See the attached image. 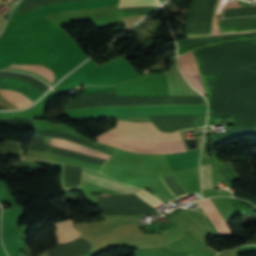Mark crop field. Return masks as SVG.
Instances as JSON below:
<instances>
[{
  "label": "crop field",
  "mask_w": 256,
  "mask_h": 256,
  "mask_svg": "<svg viewBox=\"0 0 256 256\" xmlns=\"http://www.w3.org/2000/svg\"><path fill=\"white\" fill-rule=\"evenodd\" d=\"M57 228L55 235L58 239V244L66 241L77 239L80 233L73 228L72 221H66L54 224Z\"/></svg>",
  "instance_id": "5a996713"
},
{
  "label": "crop field",
  "mask_w": 256,
  "mask_h": 256,
  "mask_svg": "<svg viewBox=\"0 0 256 256\" xmlns=\"http://www.w3.org/2000/svg\"><path fill=\"white\" fill-rule=\"evenodd\" d=\"M209 101L210 121L231 117L234 130L212 135L214 145L256 133V39L226 42L192 51Z\"/></svg>",
  "instance_id": "8a807250"
},
{
  "label": "crop field",
  "mask_w": 256,
  "mask_h": 256,
  "mask_svg": "<svg viewBox=\"0 0 256 256\" xmlns=\"http://www.w3.org/2000/svg\"><path fill=\"white\" fill-rule=\"evenodd\" d=\"M0 94L17 107H24L33 102L28 100L23 95L16 93L14 91L0 90Z\"/></svg>",
  "instance_id": "28ad6ade"
},
{
  "label": "crop field",
  "mask_w": 256,
  "mask_h": 256,
  "mask_svg": "<svg viewBox=\"0 0 256 256\" xmlns=\"http://www.w3.org/2000/svg\"><path fill=\"white\" fill-rule=\"evenodd\" d=\"M181 73L201 94L206 96L192 52L178 57Z\"/></svg>",
  "instance_id": "34b2d1b8"
},
{
  "label": "crop field",
  "mask_w": 256,
  "mask_h": 256,
  "mask_svg": "<svg viewBox=\"0 0 256 256\" xmlns=\"http://www.w3.org/2000/svg\"><path fill=\"white\" fill-rule=\"evenodd\" d=\"M160 204H161V203H160ZM160 204L156 205L155 207L159 206ZM155 207H154V208H155Z\"/></svg>",
  "instance_id": "4a817a6b"
},
{
  "label": "crop field",
  "mask_w": 256,
  "mask_h": 256,
  "mask_svg": "<svg viewBox=\"0 0 256 256\" xmlns=\"http://www.w3.org/2000/svg\"><path fill=\"white\" fill-rule=\"evenodd\" d=\"M232 200H233L236 215L251 213L256 211V208L253 205L243 200L234 199V198H232Z\"/></svg>",
  "instance_id": "22f410ed"
},
{
  "label": "crop field",
  "mask_w": 256,
  "mask_h": 256,
  "mask_svg": "<svg viewBox=\"0 0 256 256\" xmlns=\"http://www.w3.org/2000/svg\"><path fill=\"white\" fill-rule=\"evenodd\" d=\"M198 203L201 205L205 213L208 215L217 230L220 232V234L232 235L228 225L225 223L210 198L206 200H200L198 201Z\"/></svg>",
  "instance_id": "f4fd0767"
},
{
  "label": "crop field",
  "mask_w": 256,
  "mask_h": 256,
  "mask_svg": "<svg viewBox=\"0 0 256 256\" xmlns=\"http://www.w3.org/2000/svg\"><path fill=\"white\" fill-rule=\"evenodd\" d=\"M99 196H108V195L101 194V195H99Z\"/></svg>",
  "instance_id": "d9b57169"
},
{
  "label": "crop field",
  "mask_w": 256,
  "mask_h": 256,
  "mask_svg": "<svg viewBox=\"0 0 256 256\" xmlns=\"http://www.w3.org/2000/svg\"><path fill=\"white\" fill-rule=\"evenodd\" d=\"M202 189L213 188L211 164L201 167Z\"/></svg>",
  "instance_id": "cbeb9de0"
},
{
  "label": "crop field",
  "mask_w": 256,
  "mask_h": 256,
  "mask_svg": "<svg viewBox=\"0 0 256 256\" xmlns=\"http://www.w3.org/2000/svg\"><path fill=\"white\" fill-rule=\"evenodd\" d=\"M83 180L93 183V184H97V185L109 188V189H112V190L120 192L122 194L135 193V192L139 191V189L125 186V185L119 184L117 182H114L112 180H109L107 178L89 174V173H85V172H83Z\"/></svg>",
  "instance_id": "dd49c442"
},
{
  "label": "crop field",
  "mask_w": 256,
  "mask_h": 256,
  "mask_svg": "<svg viewBox=\"0 0 256 256\" xmlns=\"http://www.w3.org/2000/svg\"><path fill=\"white\" fill-rule=\"evenodd\" d=\"M6 1V3H8L10 0H5Z\"/></svg>",
  "instance_id": "733c2abd"
},
{
  "label": "crop field",
  "mask_w": 256,
  "mask_h": 256,
  "mask_svg": "<svg viewBox=\"0 0 256 256\" xmlns=\"http://www.w3.org/2000/svg\"><path fill=\"white\" fill-rule=\"evenodd\" d=\"M1 70H14V71L28 73V74H31L33 76L40 78L41 80L45 81L49 85H51L52 82L54 81V75H53L52 71L42 65H25V64L15 65V64H12L9 67L1 69Z\"/></svg>",
  "instance_id": "412701ff"
},
{
  "label": "crop field",
  "mask_w": 256,
  "mask_h": 256,
  "mask_svg": "<svg viewBox=\"0 0 256 256\" xmlns=\"http://www.w3.org/2000/svg\"><path fill=\"white\" fill-rule=\"evenodd\" d=\"M112 130L144 139H171L180 137L179 133L178 137L176 132L160 133L150 122L118 121L117 127ZM113 131L106 132L96 139L121 149L139 153L166 154L186 151L181 138L172 140H143Z\"/></svg>",
  "instance_id": "ac0d7876"
},
{
  "label": "crop field",
  "mask_w": 256,
  "mask_h": 256,
  "mask_svg": "<svg viewBox=\"0 0 256 256\" xmlns=\"http://www.w3.org/2000/svg\"><path fill=\"white\" fill-rule=\"evenodd\" d=\"M158 5L156 0H120L118 8L144 7Z\"/></svg>",
  "instance_id": "d1516ede"
},
{
  "label": "crop field",
  "mask_w": 256,
  "mask_h": 256,
  "mask_svg": "<svg viewBox=\"0 0 256 256\" xmlns=\"http://www.w3.org/2000/svg\"><path fill=\"white\" fill-rule=\"evenodd\" d=\"M190 256V255H189Z\"/></svg>",
  "instance_id": "bc2a9ffb"
},
{
  "label": "crop field",
  "mask_w": 256,
  "mask_h": 256,
  "mask_svg": "<svg viewBox=\"0 0 256 256\" xmlns=\"http://www.w3.org/2000/svg\"><path fill=\"white\" fill-rule=\"evenodd\" d=\"M51 146L67 149L70 151L86 154L89 156H93V157H97V158H101V159H105V160H108V158H109V155H106V154L100 153L98 151L74 144V143H72L70 141H66V140H60V139L54 138L51 143Z\"/></svg>",
  "instance_id": "d8731c3e"
},
{
  "label": "crop field",
  "mask_w": 256,
  "mask_h": 256,
  "mask_svg": "<svg viewBox=\"0 0 256 256\" xmlns=\"http://www.w3.org/2000/svg\"><path fill=\"white\" fill-rule=\"evenodd\" d=\"M229 0H218L217 2V7L215 8V10L213 11L212 13V16H211V19H210V26H209V33H210V36H214V35H219V29L217 27V19H218V16L220 14V12L222 11L223 7L228 3ZM237 4V1H234L230 4L227 5L226 8H229V7H237L236 6ZM225 8V9H226ZM240 8H244V7H240ZM229 9H236V8H229ZM228 10V9H226ZM225 13V11H224ZM223 14V13H222ZM223 16L224 14L222 15L221 17V20L223 19ZM254 20V19H253ZM242 21H247V20H242ZM228 22H239V21H228ZM220 23H227V22H220ZM248 32H256V31H248ZM248 32H237V33H226V34H222V35H227V34H239V33H248ZM205 37V36H204ZM195 38V37H194ZM190 39V38H188Z\"/></svg>",
  "instance_id": "e52e79f7"
},
{
  "label": "crop field",
  "mask_w": 256,
  "mask_h": 256,
  "mask_svg": "<svg viewBox=\"0 0 256 256\" xmlns=\"http://www.w3.org/2000/svg\"><path fill=\"white\" fill-rule=\"evenodd\" d=\"M234 196H236V195L234 194ZM236 197H238V196H236ZM238 198H242V199L248 200V201H250V202H252V203H254L256 205V199H249V198H245V197H238Z\"/></svg>",
  "instance_id": "5142ce71"
},
{
  "label": "crop field",
  "mask_w": 256,
  "mask_h": 256,
  "mask_svg": "<svg viewBox=\"0 0 256 256\" xmlns=\"http://www.w3.org/2000/svg\"><path fill=\"white\" fill-rule=\"evenodd\" d=\"M212 160L214 164L216 165L219 173L221 174L223 180L225 181L226 185L230 187L231 181H234L236 179H239L238 175L229 167L225 166L224 164L220 163L213 155V150H212Z\"/></svg>",
  "instance_id": "3316defc"
}]
</instances>
